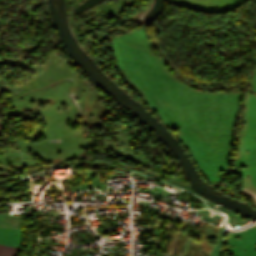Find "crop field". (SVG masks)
<instances>
[{"mask_svg":"<svg viewBox=\"0 0 256 256\" xmlns=\"http://www.w3.org/2000/svg\"><path fill=\"white\" fill-rule=\"evenodd\" d=\"M0 244L20 248V244H21L20 230L0 227Z\"/></svg>","mask_w":256,"mask_h":256,"instance_id":"crop-field-1","label":"crop field"},{"mask_svg":"<svg viewBox=\"0 0 256 256\" xmlns=\"http://www.w3.org/2000/svg\"><path fill=\"white\" fill-rule=\"evenodd\" d=\"M18 251V248L0 245V256H16Z\"/></svg>","mask_w":256,"mask_h":256,"instance_id":"crop-field-2","label":"crop field"}]
</instances>
